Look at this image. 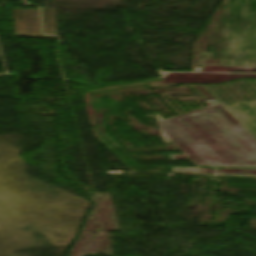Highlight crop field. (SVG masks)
Listing matches in <instances>:
<instances>
[{
	"mask_svg": "<svg viewBox=\"0 0 256 256\" xmlns=\"http://www.w3.org/2000/svg\"><path fill=\"white\" fill-rule=\"evenodd\" d=\"M205 119L219 130L224 144H189L211 166L256 167V147L222 113Z\"/></svg>",
	"mask_w": 256,
	"mask_h": 256,
	"instance_id": "8a807250",
	"label": "crop field"
},
{
	"mask_svg": "<svg viewBox=\"0 0 256 256\" xmlns=\"http://www.w3.org/2000/svg\"><path fill=\"white\" fill-rule=\"evenodd\" d=\"M220 112L215 107L203 109L189 113L180 117L173 118L195 141L206 145L223 143L218 135V130L214 128L203 117L212 116Z\"/></svg>",
	"mask_w": 256,
	"mask_h": 256,
	"instance_id": "ac0d7876",
	"label": "crop field"
},
{
	"mask_svg": "<svg viewBox=\"0 0 256 256\" xmlns=\"http://www.w3.org/2000/svg\"><path fill=\"white\" fill-rule=\"evenodd\" d=\"M215 107H217L256 146V139L250 135L221 105Z\"/></svg>",
	"mask_w": 256,
	"mask_h": 256,
	"instance_id": "f4fd0767",
	"label": "crop field"
},
{
	"mask_svg": "<svg viewBox=\"0 0 256 256\" xmlns=\"http://www.w3.org/2000/svg\"><path fill=\"white\" fill-rule=\"evenodd\" d=\"M163 131L197 166H210L165 120L159 121Z\"/></svg>",
	"mask_w": 256,
	"mask_h": 256,
	"instance_id": "34b2d1b8",
	"label": "crop field"
},
{
	"mask_svg": "<svg viewBox=\"0 0 256 256\" xmlns=\"http://www.w3.org/2000/svg\"><path fill=\"white\" fill-rule=\"evenodd\" d=\"M205 173H227V174H256L254 169H220L211 170L209 168H201Z\"/></svg>",
	"mask_w": 256,
	"mask_h": 256,
	"instance_id": "412701ff",
	"label": "crop field"
},
{
	"mask_svg": "<svg viewBox=\"0 0 256 256\" xmlns=\"http://www.w3.org/2000/svg\"><path fill=\"white\" fill-rule=\"evenodd\" d=\"M187 142L194 141L173 119L166 120Z\"/></svg>",
	"mask_w": 256,
	"mask_h": 256,
	"instance_id": "dd49c442",
	"label": "crop field"
}]
</instances>
